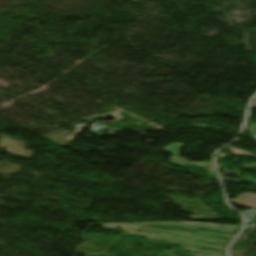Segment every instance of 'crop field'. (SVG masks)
Wrapping results in <instances>:
<instances>
[{"label":"crop field","instance_id":"crop-field-1","mask_svg":"<svg viewBox=\"0 0 256 256\" xmlns=\"http://www.w3.org/2000/svg\"><path fill=\"white\" fill-rule=\"evenodd\" d=\"M228 201L236 205L256 207V195L251 193H245L243 195H239L237 200H228Z\"/></svg>","mask_w":256,"mask_h":256}]
</instances>
